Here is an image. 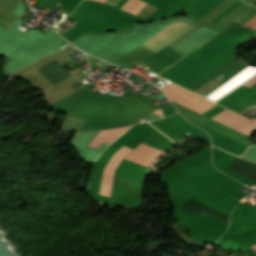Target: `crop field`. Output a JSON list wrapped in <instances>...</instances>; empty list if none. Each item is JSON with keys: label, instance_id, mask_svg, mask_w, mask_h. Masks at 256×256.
Here are the masks:
<instances>
[{"label": "crop field", "instance_id": "obj_10", "mask_svg": "<svg viewBox=\"0 0 256 256\" xmlns=\"http://www.w3.org/2000/svg\"><path fill=\"white\" fill-rule=\"evenodd\" d=\"M244 26L251 27L256 30V16L250 20L248 23H246Z\"/></svg>", "mask_w": 256, "mask_h": 256}, {"label": "crop field", "instance_id": "obj_3", "mask_svg": "<svg viewBox=\"0 0 256 256\" xmlns=\"http://www.w3.org/2000/svg\"><path fill=\"white\" fill-rule=\"evenodd\" d=\"M130 151L131 149L123 146L121 149L115 152L114 155L111 157V159L109 160L104 170L102 183H101V190H100L101 194H105L109 196L114 170L118 166L120 161L123 159V157Z\"/></svg>", "mask_w": 256, "mask_h": 256}, {"label": "crop field", "instance_id": "obj_2", "mask_svg": "<svg viewBox=\"0 0 256 256\" xmlns=\"http://www.w3.org/2000/svg\"><path fill=\"white\" fill-rule=\"evenodd\" d=\"M213 118H215V119H217V120H219V121H221V122H223V123H225L229 126H232V127L236 128V129H238V130H240V131H242V132H244L248 135L256 129V118L255 117H253V119L251 120V119H249V118H247L243 115L239 116V115H237V114H235V113H233V112H231L227 109L218 113Z\"/></svg>", "mask_w": 256, "mask_h": 256}, {"label": "crop field", "instance_id": "obj_6", "mask_svg": "<svg viewBox=\"0 0 256 256\" xmlns=\"http://www.w3.org/2000/svg\"><path fill=\"white\" fill-rule=\"evenodd\" d=\"M223 0H194L184 7L185 11L198 19L220 4Z\"/></svg>", "mask_w": 256, "mask_h": 256}, {"label": "crop field", "instance_id": "obj_9", "mask_svg": "<svg viewBox=\"0 0 256 256\" xmlns=\"http://www.w3.org/2000/svg\"><path fill=\"white\" fill-rule=\"evenodd\" d=\"M130 127L131 126L100 131L98 135L91 141L89 146L97 148L100 146L102 141L110 144L116 137H118L120 134H122Z\"/></svg>", "mask_w": 256, "mask_h": 256}, {"label": "crop field", "instance_id": "obj_8", "mask_svg": "<svg viewBox=\"0 0 256 256\" xmlns=\"http://www.w3.org/2000/svg\"><path fill=\"white\" fill-rule=\"evenodd\" d=\"M129 1L130 0H127L126 3L121 7V9H123ZM155 9L156 7L148 3H145L141 0H131L124 8V10L128 12H131L135 15H139L143 17L149 16Z\"/></svg>", "mask_w": 256, "mask_h": 256}, {"label": "crop field", "instance_id": "obj_12", "mask_svg": "<svg viewBox=\"0 0 256 256\" xmlns=\"http://www.w3.org/2000/svg\"><path fill=\"white\" fill-rule=\"evenodd\" d=\"M256 82V77H254L253 79H251L250 81H248L247 83H245L244 85L245 86H249L251 85L252 83Z\"/></svg>", "mask_w": 256, "mask_h": 256}, {"label": "crop field", "instance_id": "obj_4", "mask_svg": "<svg viewBox=\"0 0 256 256\" xmlns=\"http://www.w3.org/2000/svg\"><path fill=\"white\" fill-rule=\"evenodd\" d=\"M164 152L141 143L134 150H132L126 157L135 159L137 161L152 165Z\"/></svg>", "mask_w": 256, "mask_h": 256}, {"label": "crop field", "instance_id": "obj_7", "mask_svg": "<svg viewBox=\"0 0 256 256\" xmlns=\"http://www.w3.org/2000/svg\"><path fill=\"white\" fill-rule=\"evenodd\" d=\"M20 2V0H0V13H2L3 15L7 16L8 18H10L13 21H17L20 18L12 15V11L15 9V7L17 6V4ZM2 14H0V26L1 27H8L11 24L15 23L13 21H11L10 19H8L7 17L3 16Z\"/></svg>", "mask_w": 256, "mask_h": 256}, {"label": "crop field", "instance_id": "obj_1", "mask_svg": "<svg viewBox=\"0 0 256 256\" xmlns=\"http://www.w3.org/2000/svg\"><path fill=\"white\" fill-rule=\"evenodd\" d=\"M194 27L185 20H176L141 44L156 52Z\"/></svg>", "mask_w": 256, "mask_h": 256}, {"label": "crop field", "instance_id": "obj_11", "mask_svg": "<svg viewBox=\"0 0 256 256\" xmlns=\"http://www.w3.org/2000/svg\"><path fill=\"white\" fill-rule=\"evenodd\" d=\"M96 1H98V0H96ZM99 1L115 6L120 0H99Z\"/></svg>", "mask_w": 256, "mask_h": 256}, {"label": "crop field", "instance_id": "obj_5", "mask_svg": "<svg viewBox=\"0 0 256 256\" xmlns=\"http://www.w3.org/2000/svg\"><path fill=\"white\" fill-rule=\"evenodd\" d=\"M254 74H256V68L248 66L243 71H241L239 74H237L232 79H230L228 82H226L224 85H222L220 88H218L216 91H214L212 94H210L207 98H210L212 100H216V99L220 98L222 95L227 93L233 87L240 84L241 82L248 79L249 77H251Z\"/></svg>", "mask_w": 256, "mask_h": 256}]
</instances>
